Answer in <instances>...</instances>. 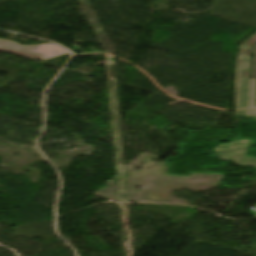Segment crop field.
Here are the masks:
<instances>
[{
    "label": "crop field",
    "instance_id": "8a807250",
    "mask_svg": "<svg viewBox=\"0 0 256 256\" xmlns=\"http://www.w3.org/2000/svg\"><path fill=\"white\" fill-rule=\"evenodd\" d=\"M256 42V34L240 46L236 62V109L254 107L255 80L249 79V47Z\"/></svg>",
    "mask_w": 256,
    "mask_h": 256
},
{
    "label": "crop field",
    "instance_id": "ac0d7876",
    "mask_svg": "<svg viewBox=\"0 0 256 256\" xmlns=\"http://www.w3.org/2000/svg\"><path fill=\"white\" fill-rule=\"evenodd\" d=\"M0 50L40 60H47L67 52L57 45L20 46L9 40H0Z\"/></svg>",
    "mask_w": 256,
    "mask_h": 256
},
{
    "label": "crop field",
    "instance_id": "34b2d1b8",
    "mask_svg": "<svg viewBox=\"0 0 256 256\" xmlns=\"http://www.w3.org/2000/svg\"><path fill=\"white\" fill-rule=\"evenodd\" d=\"M246 117H256V111H245Z\"/></svg>",
    "mask_w": 256,
    "mask_h": 256
},
{
    "label": "crop field",
    "instance_id": "412701ff",
    "mask_svg": "<svg viewBox=\"0 0 256 256\" xmlns=\"http://www.w3.org/2000/svg\"><path fill=\"white\" fill-rule=\"evenodd\" d=\"M235 113L244 116V111H242V112H235Z\"/></svg>",
    "mask_w": 256,
    "mask_h": 256
}]
</instances>
